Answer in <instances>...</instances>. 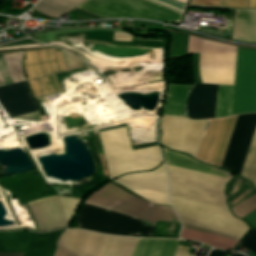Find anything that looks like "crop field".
<instances>
[{"label": "crop field", "mask_w": 256, "mask_h": 256, "mask_svg": "<svg viewBox=\"0 0 256 256\" xmlns=\"http://www.w3.org/2000/svg\"><path fill=\"white\" fill-rule=\"evenodd\" d=\"M246 0H224L223 6L244 7ZM221 0H193L191 5L220 6ZM248 7H256V0H249Z\"/></svg>", "instance_id": "00972430"}, {"label": "crop field", "mask_w": 256, "mask_h": 256, "mask_svg": "<svg viewBox=\"0 0 256 256\" xmlns=\"http://www.w3.org/2000/svg\"><path fill=\"white\" fill-rule=\"evenodd\" d=\"M207 120L194 121L182 117H161V144L196 156Z\"/></svg>", "instance_id": "28ad6ade"}, {"label": "crop field", "mask_w": 256, "mask_h": 256, "mask_svg": "<svg viewBox=\"0 0 256 256\" xmlns=\"http://www.w3.org/2000/svg\"><path fill=\"white\" fill-rule=\"evenodd\" d=\"M86 201L112 211L153 222L156 219L179 221L171 207L152 205L109 184L88 196Z\"/></svg>", "instance_id": "d8731c3e"}, {"label": "crop field", "mask_w": 256, "mask_h": 256, "mask_svg": "<svg viewBox=\"0 0 256 256\" xmlns=\"http://www.w3.org/2000/svg\"><path fill=\"white\" fill-rule=\"evenodd\" d=\"M234 215L237 217H244L254 209H256V195L250 197L249 199L243 201L237 206L231 208Z\"/></svg>", "instance_id": "a9b5d70f"}, {"label": "crop field", "mask_w": 256, "mask_h": 256, "mask_svg": "<svg viewBox=\"0 0 256 256\" xmlns=\"http://www.w3.org/2000/svg\"><path fill=\"white\" fill-rule=\"evenodd\" d=\"M181 238L205 242L220 249H233L238 241L182 228Z\"/></svg>", "instance_id": "214f88e0"}, {"label": "crop field", "mask_w": 256, "mask_h": 256, "mask_svg": "<svg viewBox=\"0 0 256 256\" xmlns=\"http://www.w3.org/2000/svg\"><path fill=\"white\" fill-rule=\"evenodd\" d=\"M1 42V41H0Z\"/></svg>", "instance_id": "d32e631a"}, {"label": "crop field", "mask_w": 256, "mask_h": 256, "mask_svg": "<svg viewBox=\"0 0 256 256\" xmlns=\"http://www.w3.org/2000/svg\"><path fill=\"white\" fill-rule=\"evenodd\" d=\"M236 117L210 121L199 158L221 165Z\"/></svg>", "instance_id": "d9b57169"}, {"label": "crop field", "mask_w": 256, "mask_h": 256, "mask_svg": "<svg viewBox=\"0 0 256 256\" xmlns=\"http://www.w3.org/2000/svg\"><path fill=\"white\" fill-rule=\"evenodd\" d=\"M75 222L78 228L103 233L152 237L155 224L83 204Z\"/></svg>", "instance_id": "5a996713"}, {"label": "crop field", "mask_w": 256, "mask_h": 256, "mask_svg": "<svg viewBox=\"0 0 256 256\" xmlns=\"http://www.w3.org/2000/svg\"><path fill=\"white\" fill-rule=\"evenodd\" d=\"M114 182L120 183L152 203L170 205L163 164L153 172L129 174Z\"/></svg>", "instance_id": "cbeb9de0"}, {"label": "crop field", "mask_w": 256, "mask_h": 256, "mask_svg": "<svg viewBox=\"0 0 256 256\" xmlns=\"http://www.w3.org/2000/svg\"><path fill=\"white\" fill-rule=\"evenodd\" d=\"M245 219L252 227L256 228V210L245 216Z\"/></svg>", "instance_id": "ae1a2a85"}, {"label": "crop field", "mask_w": 256, "mask_h": 256, "mask_svg": "<svg viewBox=\"0 0 256 256\" xmlns=\"http://www.w3.org/2000/svg\"><path fill=\"white\" fill-rule=\"evenodd\" d=\"M38 53L40 60L56 58L53 49L41 50L38 51ZM56 54L60 70H66L62 51H56ZM27 56L28 59H25L23 62L38 60L35 52L27 53ZM40 63L44 75L53 74V72L59 71L56 60L44 61ZM24 67L28 77L42 75L38 62L24 64ZM28 81L34 96L62 91L55 76L31 79Z\"/></svg>", "instance_id": "22f410ed"}, {"label": "crop field", "mask_w": 256, "mask_h": 256, "mask_svg": "<svg viewBox=\"0 0 256 256\" xmlns=\"http://www.w3.org/2000/svg\"><path fill=\"white\" fill-rule=\"evenodd\" d=\"M231 256H242V255L237 254V253H232V252H231ZM244 256H245V255H244Z\"/></svg>", "instance_id": "1d83c4d3"}, {"label": "crop field", "mask_w": 256, "mask_h": 256, "mask_svg": "<svg viewBox=\"0 0 256 256\" xmlns=\"http://www.w3.org/2000/svg\"><path fill=\"white\" fill-rule=\"evenodd\" d=\"M189 84H169L161 115H182Z\"/></svg>", "instance_id": "bc2a9ffb"}, {"label": "crop field", "mask_w": 256, "mask_h": 256, "mask_svg": "<svg viewBox=\"0 0 256 256\" xmlns=\"http://www.w3.org/2000/svg\"><path fill=\"white\" fill-rule=\"evenodd\" d=\"M240 176L251 181L256 188V130L250 144Z\"/></svg>", "instance_id": "dafd665d"}, {"label": "crop field", "mask_w": 256, "mask_h": 256, "mask_svg": "<svg viewBox=\"0 0 256 256\" xmlns=\"http://www.w3.org/2000/svg\"><path fill=\"white\" fill-rule=\"evenodd\" d=\"M21 54L22 51L1 54L15 84L25 82L18 63ZM0 103L11 117L41 116L25 83L0 88Z\"/></svg>", "instance_id": "3316defc"}, {"label": "crop field", "mask_w": 256, "mask_h": 256, "mask_svg": "<svg viewBox=\"0 0 256 256\" xmlns=\"http://www.w3.org/2000/svg\"><path fill=\"white\" fill-rule=\"evenodd\" d=\"M200 52L202 83L233 85L237 47L189 35L187 53Z\"/></svg>", "instance_id": "e52e79f7"}, {"label": "crop field", "mask_w": 256, "mask_h": 256, "mask_svg": "<svg viewBox=\"0 0 256 256\" xmlns=\"http://www.w3.org/2000/svg\"><path fill=\"white\" fill-rule=\"evenodd\" d=\"M84 1L85 0H40V3L47 5L49 7H52L56 10H59L63 13H66L70 10H73L74 8H76L79 4H81ZM40 3H38L34 7V9L44 12L46 14H49L51 16H54L56 18H59L63 14L59 11L51 9L47 6L40 4Z\"/></svg>", "instance_id": "92a150f3"}, {"label": "crop field", "mask_w": 256, "mask_h": 256, "mask_svg": "<svg viewBox=\"0 0 256 256\" xmlns=\"http://www.w3.org/2000/svg\"><path fill=\"white\" fill-rule=\"evenodd\" d=\"M217 85L195 84L187 98L190 119L214 118ZM233 86L218 85L215 118L230 115ZM256 112V50L238 48L231 115Z\"/></svg>", "instance_id": "8a807250"}, {"label": "crop field", "mask_w": 256, "mask_h": 256, "mask_svg": "<svg viewBox=\"0 0 256 256\" xmlns=\"http://www.w3.org/2000/svg\"><path fill=\"white\" fill-rule=\"evenodd\" d=\"M177 1H180V2H182V3H187V0H177Z\"/></svg>", "instance_id": "120bbe31"}, {"label": "crop field", "mask_w": 256, "mask_h": 256, "mask_svg": "<svg viewBox=\"0 0 256 256\" xmlns=\"http://www.w3.org/2000/svg\"><path fill=\"white\" fill-rule=\"evenodd\" d=\"M166 168L170 195L228 208L224 194L228 179L169 165Z\"/></svg>", "instance_id": "dd49c442"}, {"label": "crop field", "mask_w": 256, "mask_h": 256, "mask_svg": "<svg viewBox=\"0 0 256 256\" xmlns=\"http://www.w3.org/2000/svg\"><path fill=\"white\" fill-rule=\"evenodd\" d=\"M78 8L103 18L126 17L179 23L182 14L146 0H88ZM76 8L77 20L101 18Z\"/></svg>", "instance_id": "f4fd0767"}, {"label": "crop field", "mask_w": 256, "mask_h": 256, "mask_svg": "<svg viewBox=\"0 0 256 256\" xmlns=\"http://www.w3.org/2000/svg\"><path fill=\"white\" fill-rule=\"evenodd\" d=\"M255 126L256 114L238 116L222 168L240 174Z\"/></svg>", "instance_id": "5142ce71"}, {"label": "crop field", "mask_w": 256, "mask_h": 256, "mask_svg": "<svg viewBox=\"0 0 256 256\" xmlns=\"http://www.w3.org/2000/svg\"><path fill=\"white\" fill-rule=\"evenodd\" d=\"M240 246L256 253V231L251 229L247 233V235L240 241L234 251H238Z\"/></svg>", "instance_id": "4177f3b9"}, {"label": "crop field", "mask_w": 256, "mask_h": 256, "mask_svg": "<svg viewBox=\"0 0 256 256\" xmlns=\"http://www.w3.org/2000/svg\"><path fill=\"white\" fill-rule=\"evenodd\" d=\"M40 231L67 226L77 209L74 198L53 196L28 202Z\"/></svg>", "instance_id": "d1516ede"}, {"label": "crop field", "mask_w": 256, "mask_h": 256, "mask_svg": "<svg viewBox=\"0 0 256 256\" xmlns=\"http://www.w3.org/2000/svg\"><path fill=\"white\" fill-rule=\"evenodd\" d=\"M22 253H0V256H21Z\"/></svg>", "instance_id": "bd1437ed"}, {"label": "crop field", "mask_w": 256, "mask_h": 256, "mask_svg": "<svg viewBox=\"0 0 256 256\" xmlns=\"http://www.w3.org/2000/svg\"><path fill=\"white\" fill-rule=\"evenodd\" d=\"M225 253V251L213 250L208 256H223Z\"/></svg>", "instance_id": "750c4746"}, {"label": "crop field", "mask_w": 256, "mask_h": 256, "mask_svg": "<svg viewBox=\"0 0 256 256\" xmlns=\"http://www.w3.org/2000/svg\"><path fill=\"white\" fill-rule=\"evenodd\" d=\"M66 52L63 50L67 71L81 68L78 59Z\"/></svg>", "instance_id": "730fd06b"}, {"label": "crop field", "mask_w": 256, "mask_h": 256, "mask_svg": "<svg viewBox=\"0 0 256 256\" xmlns=\"http://www.w3.org/2000/svg\"><path fill=\"white\" fill-rule=\"evenodd\" d=\"M116 40H133V37L124 32L116 31Z\"/></svg>", "instance_id": "d3111659"}, {"label": "crop field", "mask_w": 256, "mask_h": 256, "mask_svg": "<svg viewBox=\"0 0 256 256\" xmlns=\"http://www.w3.org/2000/svg\"><path fill=\"white\" fill-rule=\"evenodd\" d=\"M182 227L239 240L249 229L229 209L170 196Z\"/></svg>", "instance_id": "34b2d1b8"}, {"label": "crop field", "mask_w": 256, "mask_h": 256, "mask_svg": "<svg viewBox=\"0 0 256 256\" xmlns=\"http://www.w3.org/2000/svg\"><path fill=\"white\" fill-rule=\"evenodd\" d=\"M150 1L175 9L180 12H183L184 6H185L184 4H181L173 0H150Z\"/></svg>", "instance_id": "eef30255"}, {"label": "crop field", "mask_w": 256, "mask_h": 256, "mask_svg": "<svg viewBox=\"0 0 256 256\" xmlns=\"http://www.w3.org/2000/svg\"><path fill=\"white\" fill-rule=\"evenodd\" d=\"M110 178L124 173L152 170L161 162L158 146L132 151L126 128L99 133Z\"/></svg>", "instance_id": "412701ff"}, {"label": "crop field", "mask_w": 256, "mask_h": 256, "mask_svg": "<svg viewBox=\"0 0 256 256\" xmlns=\"http://www.w3.org/2000/svg\"><path fill=\"white\" fill-rule=\"evenodd\" d=\"M138 239L65 230L54 256H131ZM178 241L140 238L132 256H173ZM188 248L178 246L174 256H193L187 253Z\"/></svg>", "instance_id": "ac0d7876"}, {"label": "crop field", "mask_w": 256, "mask_h": 256, "mask_svg": "<svg viewBox=\"0 0 256 256\" xmlns=\"http://www.w3.org/2000/svg\"><path fill=\"white\" fill-rule=\"evenodd\" d=\"M231 39L256 42V11L235 10Z\"/></svg>", "instance_id": "733c2abd"}, {"label": "crop field", "mask_w": 256, "mask_h": 256, "mask_svg": "<svg viewBox=\"0 0 256 256\" xmlns=\"http://www.w3.org/2000/svg\"><path fill=\"white\" fill-rule=\"evenodd\" d=\"M164 154H165L167 164H171V165H175V166H179V167H183V168H187L195 171H200V172H204V173H208V174H212V175H216V176H220L228 179H231L234 176L226 171H222V170L210 167L186 155L172 152L165 148H164Z\"/></svg>", "instance_id": "4a817a6b"}]
</instances>
